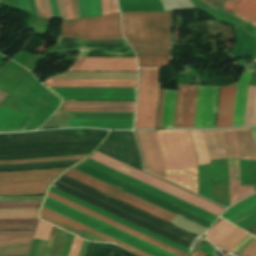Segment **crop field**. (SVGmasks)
I'll use <instances>...</instances> for the list:
<instances>
[{
	"label": "crop field",
	"mask_w": 256,
	"mask_h": 256,
	"mask_svg": "<svg viewBox=\"0 0 256 256\" xmlns=\"http://www.w3.org/2000/svg\"><path fill=\"white\" fill-rule=\"evenodd\" d=\"M83 156H70V157H58V158H45V159H32V160H20V161H0V164H21V163H35V162H48V161H61V160H75L82 159Z\"/></svg>",
	"instance_id": "35"
},
{
	"label": "crop field",
	"mask_w": 256,
	"mask_h": 256,
	"mask_svg": "<svg viewBox=\"0 0 256 256\" xmlns=\"http://www.w3.org/2000/svg\"><path fill=\"white\" fill-rule=\"evenodd\" d=\"M42 2H43L44 9H45L46 17L49 18V19H53L52 14H51L49 1L48 0H42Z\"/></svg>",
	"instance_id": "47"
},
{
	"label": "crop field",
	"mask_w": 256,
	"mask_h": 256,
	"mask_svg": "<svg viewBox=\"0 0 256 256\" xmlns=\"http://www.w3.org/2000/svg\"><path fill=\"white\" fill-rule=\"evenodd\" d=\"M35 2H36V6H37V10H38L39 16L45 17V13H44V10H43V6H42L41 0H35Z\"/></svg>",
	"instance_id": "52"
},
{
	"label": "crop field",
	"mask_w": 256,
	"mask_h": 256,
	"mask_svg": "<svg viewBox=\"0 0 256 256\" xmlns=\"http://www.w3.org/2000/svg\"><path fill=\"white\" fill-rule=\"evenodd\" d=\"M38 219H0V230H35Z\"/></svg>",
	"instance_id": "27"
},
{
	"label": "crop field",
	"mask_w": 256,
	"mask_h": 256,
	"mask_svg": "<svg viewBox=\"0 0 256 256\" xmlns=\"http://www.w3.org/2000/svg\"><path fill=\"white\" fill-rule=\"evenodd\" d=\"M14 4L22 8L20 0H14Z\"/></svg>",
	"instance_id": "58"
},
{
	"label": "crop field",
	"mask_w": 256,
	"mask_h": 256,
	"mask_svg": "<svg viewBox=\"0 0 256 256\" xmlns=\"http://www.w3.org/2000/svg\"><path fill=\"white\" fill-rule=\"evenodd\" d=\"M254 193L253 186H241V199Z\"/></svg>",
	"instance_id": "45"
},
{
	"label": "crop field",
	"mask_w": 256,
	"mask_h": 256,
	"mask_svg": "<svg viewBox=\"0 0 256 256\" xmlns=\"http://www.w3.org/2000/svg\"><path fill=\"white\" fill-rule=\"evenodd\" d=\"M236 228L237 227L233 226L232 224L222 219L212 229L208 231L207 239L208 241H210L211 243L217 246ZM247 235L248 233L237 228L217 247L228 252L232 247H234L239 241H241Z\"/></svg>",
	"instance_id": "18"
},
{
	"label": "crop field",
	"mask_w": 256,
	"mask_h": 256,
	"mask_svg": "<svg viewBox=\"0 0 256 256\" xmlns=\"http://www.w3.org/2000/svg\"><path fill=\"white\" fill-rule=\"evenodd\" d=\"M45 86L136 88L137 81L49 80Z\"/></svg>",
	"instance_id": "22"
},
{
	"label": "crop field",
	"mask_w": 256,
	"mask_h": 256,
	"mask_svg": "<svg viewBox=\"0 0 256 256\" xmlns=\"http://www.w3.org/2000/svg\"><path fill=\"white\" fill-rule=\"evenodd\" d=\"M57 111L134 112L135 102L62 101Z\"/></svg>",
	"instance_id": "17"
},
{
	"label": "crop field",
	"mask_w": 256,
	"mask_h": 256,
	"mask_svg": "<svg viewBox=\"0 0 256 256\" xmlns=\"http://www.w3.org/2000/svg\"><path fill=\"white\" fill-rule=\"evenodd\" d=\"M32 232H0V234H31ZM32 235H0V251H28ZM28 252H0V256H27Z\"/></svg>",
	"instance_id": "19"
},
{
	"label": "crop field",
	"mask_w": 256,
	"mask_h": 256,
	"mask_svg": "<svg viewBox=\"0 0 256 256\" xmlns=\"http://www.w3.org/2000/svg\"><path fill=\"white\" fill-rule=\"evenodd\" d=\"M140 146L145 158V170L155 174V168H154V158L152 154V150L150 147V143L148 140L147 132L146 131H140L136 132Z\"/></svg>",
	"instance_id": "29"
},
{
	"label": "crop field",
	"mask_w": 256,
	"mask_h": 256,
	"mask_svg": "<svg viewBox=\"0 0 256 256\" xmlns=\"http://www.w3.org/2000/svg\"><path fill=\"white\" fill-rule=\"evenodd\" d=\"M57 5L59 7L62 19L63 20L67 19L65 9H64V6H63V0H57Z\"/></svg>",
	"instance_id": "51"
},
{
	"label": "crop field",
	"mask_w": 256,
	"mask_h": 256,
	"mask_svg": "<svg viewBox=\"0 0 256 256\" xmlns=\"http://www.w3.org/2000/svg\"><path fill=\"white\" fill-rule=\"evenodd\" d=\"M32 115L1 105L0 131L24 130Z\"/></svg>",
	"instance_id": "21"
},
{
	"label": "crop field",
	"mask_w": 256,
	"mask_h": 256,
	"mask_svg": "<svg viewBox=\"0 0 256 256\" xmlns=\"http://www.w3.org/2000/svg\"><path fill=\"white\" fill-rule=\"evenodd\" d=\"M64 3H65V8H66V13H67L68 19L74 18L73 13H72V9H71V6H70V1L69 0H64Z\"/></svg>",
	"instance_id": "50"
},
{
	"label": "crop field",
	"mask_w": 256,
	"mask_h": 256,
	"mask_svg": "<svg viewBox=\"0 0 256 256\" xmlns=\"http://www.w3.org/2000/svg\"><path fill=\"white\" fill-rule=\"evenodd\" d=\"M198 86L178 85L176 91L166 90L162 128H194ZM218 87H200L195 128H214Z\"/></svg>",
	"instance_id": "3"
},
{
	"label": "crop field",
	"mask_w": 256,
	"mask_h": 256,
	"mask_svg": "<svg viewBox=\"0 0 256 256\" xmlns=\"http://www.w3.org/2000/svg\"><path fill=\"white\" fill-rule=\"evenodd\" d=\"M77 70L137 71L136 57L87 56Z\"/></svg>",
	"instance_id": "16"
},
{
	"label": "crop field",
	"mask_w": 256,
	"mask_h": 256,
	"mask_svg": "<svg viewBox=\"0 0 256 256\" xmlns=\"http://www.w3.org/2000/svg\"><path fill=\"white\" fill-rule=\"evenodd\" d=\"M134 113L69 112L68 127L132 129Z\"/></svg>",
	"instance_id": "12"
},
{
	"label": "crop field",
	"mask_w": 256,
	"mask_h": 256,
	"mask_svg": "<svg viewBox=\"0 0 256 256\" xmlns=\"http://www.w3.org/2000/svg\"><path fill=\"white\" fill-rule=\"evenodd\" d=\"M171 12L123 13L125 39L134 48L139 67L167 66Z\"/></svg>",
	"instance_id": "1"
},
{
	"label": "crop field",
	"mask_w": 256,
	"mask_h": 256,
	"mask_svg": "<svg viewBox=\"0 0 256 256\" xmlns=\"http://www.w3.org/2000/svg\"><path fill=\"white\" fill-rule=\"evenodd\" d=\"M87 17L101 16L100 0H86Z\"/></svg>",
	"instance_id": "36"
},
{
	"label": "crop field",
	"mask_w": 256,
	"mask_h": 256,
	"mask_svg": "<svg viewBox=\"0 0 256 256\" xmlns=\"http://www.w3.org/2000/svg\"><path fill=\"white\" fill-rule=\"evenodd\" d=\"M64 175L73 178L81 183H84L90 187H93L99 191H102L110 196H113L119 200H122L130 205H133L139 209H142L148 213H151L159 218H162L168 222H170L175 215L162 210L152 204H149L139 198H136L126 192H123L113 186H110L100 180H97L87 174H84L74 168L70 169L68 172H66Z\"/></svg>",
	"instance_id": "11"
},
{
	"label": "crop field",
	"mask_w": 256,
	"mask_h": 256,
	"mask_svg": "<svg viewBox=\"0 0 256 256\" xmlns=\"http://www.w3.org/2000/svg\"><path fill=\"white\" fill-rule=\"evenodd\" d=\"M165 90L160 89L156 128H161Z\"/></svg>",
	"instance_id": "39"
},
{
	"label": "crop field",
	"mask_w": 256,
	"mask_h": 256,
	"mask_svg": "<svg viewBox=\"0 0 256 256\" xmlns=\"http://www.w3.org/2000/svg\"><path fill=\"white\" fill-rule=\"evenodd\" d=\"M40 218L51 222L57 226H60L66 230H69L75 234H78L82 237H85L91 241H98V242H108V243H114L118 246H121L127 250H130L134 253H137L141 256H150L148 254H145L137 249H134L128 245H125L117 240H114L106 235H103L95 230H92L86 226H83L75 221H72L64 216H61L55 212H52L44 207L41 209Z\"/></svg>",
	"instance_id": "15"
},
{
	"label": "crop field",
	"mask_w": 256,
	"mask_h": 256,
	"mask_svg": "<svg viewBox=\"0 0 256 256\" xmlns=\"http://www.w3.org/2000/svg\"><path fill=\"white\" fill-rule=\"evenodd\" d=\"M212 8L217 9L221 5H223L227 0H201Z\"/></svg>",
	"instance_id": "44"
},
{
	"label": "crop field",
	"mask_w": 256,
	"mask_h": 256,
	"mask_svg": "<svg viewBox=\"0 0 256 256\" xmlns=\"http://www.w3.org/2000/svg\"><path fill=\"white\" fill-rule=\"evenodd\" d=\"M250 129H251L252 136H253V139H254V142H255V146H256V128H250Z\"/></svg>",
	"instance_id": "56"
},
{
	"label": "crop field",
	"mask_w": 256,
	"mask_h": 256,
	"mask_svg": "<svg viewBox=\"0 0 256 256\" xmlns=\"http://www.w3.org/2000/svg\"><path fill=\"white\" fill-rule=\"evenodd\" d=\"M230 205L240 200L238 160L228 159Z\"/></svg>",
	"instance_id": "26"
},
{
	"label": "crop field",
	"mask_w": 256,
	"mask_h": 256,
	"mask_svg": "<svg viewBox=\"0 0 256 256\" xmlns=\"http://www.w3.org/2000/svg\"><path fill=\"white\" fill-rule=\"evenodd\" d=\"M61 99L135 100L136 89L47 87Z\"/></svg>",
	"instance_id": "14"
},
{
	"label": "crop field",
	"mask_w": 256,
	"mask_h": 256,
	"mask_svg": "<svg viewBox=\"0 0 256 256\" xmlns=\"http://www.w3.org/2000/svg\"><path fill=\"white\" fill-rule=\"evenodd\" d=\"M28 2H29L30 13L33 14V15H37L34 0H28Z\"/></svg>",
	"instance_id": "54"
},
{
	"label": "crop field",
	"mask_w": 256,
	"mask_h": 256,
	"mask_svg": "<svg viewBox=\"0 0 256 256\" xmlns=\"http://www.w3.org/2000/svg\"><path fill=\"white\" fill-rule=\"evenodd\" d=\"M256 123V86H249L244 126Z\"/></svg>",
	"instance_id": "30"
},
{
	"label": "crop field",
	"mask_w": 256,
	"mask_h": 256,
	"mask_svg": "<svg viewBox=\"0 0 256 256\" xmlns=\"http://www.w3.org/2000/svg\"><path fill=\"white\" fill-rule=\"evenodd\" d=\"M255 212H256V205L252 206L251 208L247 209L246 211L240 213L239 215L235 216L234 218H232L228 221L235 224Z\"/></svg>",
	"instance_id": "40"
},
{
	"label": "crop field",
	"mask_w": 256,
	"mask_h": 256,
	"mask_svg": "<svg viewBox=\"0 0 256 256\" xmlns=\"http://www.w3.org/2000/svg\"><path fill=\"white\" fill-rule=\"evenodd\" d=\"M111 13L119 12L116 0H110Z\"/></svg>",
	"instance_id": "53"
},
{
	"label": "crop field",
	"mask_w": 256,
	"mask_h": 256,
	"mask_svg": "<svg viewBox=\"0 0 256 256\" xmlns=\"http://www.w3.org/2000/svg\"><path fill=\"white\" fill-rule=\"evenodd\" d=\"M159 69H141L135 129L154 128Z\"/></svg>",
	"instance_id": "10"
},
{
	"label": "crop field",
	"mask_w": 256,
	"mask_h": 256,
	"mask_svg": "<svg viewBox=\"0 0 256 256\" xmlns=\"http://www.w3.org/2000/svg\"><path fill=\"white\" fill-rule=\"evenodd\" d=\"M190 256H207V254L195 249L194 252Z\"/></svg>",
	"instance_id": "55"
},
{
	"label": "crop field",
	"mask_w": 256,
	"mask_h": 256,
	"mask_svg": "<svg viewBox=\"0 0 256 256\" xmlns=\"http://www.w3.org/2000/svg\"><path fill=\"white\" fill-rule=\"evenodd\" d=\"M156 132L165 158L166 179L198 194L196 157L188 131Z\"/></svg>",
	"instance_id": "5"
},
{
	"label": "crop field",
	"mask_w": 256,
	"mask_h": 256,
	"mask_svg": "<svg viewBox=\"0 0 256 256\" xmlns=\"http://www.w3.org/2000/svg\"><path fill=\"white\" fill-rule=\"evenodd\" d=\"M40 202H0V208H38Z\"/></svg>",
	"instance_id": "37"
},
{
	"label": "crop field",
	"mask_w": 256,
	"mask_h": 256,
	"mask_svg": "<svg viewBox=\"0 0 256 256\" xmlns=\"http://www.w3.org/2000/svg\"><path fill=\"white\" fill-rule=\"evenodd\" d=\"M98 151L142 171L139 152L131 132H112Z\"/></svg>",
	"instance_id": "13"
},
{
	"label": "crop field",
	"mask_w": 256,
	"mask_h": 256,
	"mask_svg": "<svg viewBox=\"0 0 256 256\" xmlns=\"http://www.w3.org/2000/svg\"><path fill=\"white\" fill-rule=\"evenodd\" d=\"M101 4H102V16L109 14L110 13L109 0H101Z\"/></svg>",
	"instance_id": "48"
},
{
	"label": "crop field",
	"mask_w": 256,
	"mask_h": 256,
	"mask_svg": "<svg viewBox=\"0 0 256 256\" xmlns=\"http://www.w3.org/2000/svg\"><path fill=\"white\" fill-rule=\"evenodd\" d=\"M222 10L256 26V0H229Z\"/></svg>",
	"instance_id": "24"
},
{
	"label": "crop field",
	"mask_w": 256,
	"mask_h": 256,
	"mask_svg": "<svg viewBox=\"0 0 256 256\" xmlns=\"http://www.w3.org/2000/svg\"><path fill=\"white\" fill-rule=\"evenodd\" d=\"M89 49L83 48L80 55L78 56L77 60L72 64L70 70H74L77 69L78 66L81 64V62L85 59L87 53H88Z\"/></svg>",
	"instance_id": "43"
},
{
	"label": "crop field",
	"mask_w": 256,
	"mask_h": 256,
	"mask_svg": "<svg viewBox=\"0 0 256 256\" xmlns=\"http://www.w3.org/2000/svg\"><path fill=\"white\" fill-rule=\"evenodd\" d=\"M90 158L98 162H101L109 167H112L120 172H123L131 177H134L142 182H145L151 186H154L162 191H165L173 196H176L184 201H187L195 206H198L206 211H209L217 216H219L224 211V209L220 207L205 202L206 200L203 201L204 199L201 200L161 180H158L144 172H141L133 167H130L122 162H119L109 156H106L98 151H96Z\"/></svg>",
	"instance_id": "9"
},
{
	"label": "crop field",
	"mask_w": 256,
	"mask_h": 256,
	"mask_svg": "<svg viewBox=\"0 0 256 256\" xmlns=\"http://www.w3.org/2000/svg\"><path fill=\"white\" fill-rule=\"evenodd\" d=\"M64 169L0 172V195L43 193L47 185Z\"/></svg>",
	"instance_id": "8"
},
{
	"label": "crop field",
	"mask_w": 256,
	"mask_h": 256,
	"mask_svg": "<svg viewBox=\"0 0 256 256\" xmlns=\"http://www.w3.org/2000/svg\"><path fill=\"white\" fill-rule=\"evenodd\" d=\"M78 1H79V15L80 17H86L85 0H78Z\"/></svg>",
	"instance_id": "49"
},
{
	"label": "crop field",
	"mask_w": 256,
	"mask_h": 256,
	"mask_svg": "<svg viewBox=\"0 0 256 256\" xmlns=\"http://www.w3.org/2000/svg\"><path fill=\"white\" fill-rule=\"evenodd\" d=\"M190 131L198 157V165L210 163L202 132L194 130Z\"/></svg>",
	"instance_id": "31"
},
{
	"label": "crop field",
	"mask_w": 256,
	"mask_h": 256,
	"mask_svg": "<svg viewBox=\"0 0 256 256\" xmlns=\"http://www.w3.org/2000/svg\"><path fill=\"white\" fill-rule=\"evenodd\" d=\"M61 35L89 40L123 38L120 29V14L115 13L98 18L63 21Z\"/></svg>",
	"instance_id": "7"
},
{
	"label": "crop field",
	"mask_w": 256,
	"mask_h": 256,
	"mask_svg": "<svg viewBox=\"0 0 256 256\" xmlns=\"http://www.w3.org/2000/svg\"><path fill=\"white\" fill-rule=\"evenodd\" d=\"M236 84L221 87L216 128L231 127Z\"/></svg>",
	"instance_id": "20"
},
{
	"label": "crop field",
	"mask_w": 256,
	"mask_h": 256,
	"mask_svg": "<svg viewBox=\"0 0 256 256\" xmlns=\"http://www.w3.org/2000/svg\"><path fill=\"white\" fill-rule=\"evenodd\" d=\"M74 168L159 206L206 229L217 216L153 188L90 158Z\"/></svg>",
	"instance_id": "2"
},
{
	"label": "crop field",
	"mask_w": 256,
	"mask_h": 256,
	"mask_svg": "<svg viewBox=\"0 0 256 256\" xmlns=\"http://www.w3.org/2000/svg\"><path fill=\"white\" fill-rule=\"evenodd\" d=\"M155 158L156 175L165 179L164 158L155 131H147Z\"/></svg>",
	"instance_id": "28"
},
{
	"label": "crop field",
	"mask_w": 256,
	"mask_h": 256,
	"mask_svg": "<svg viewBox=\"0 0 256 256\" xmlns=\"http://www.w3.org/2000/svg\"><path fill=\"white\" fill-rule=\"evenodd\" d=\"M254 238L255 237H253L252 235L249 234L239 244H237L231 251L238 253L241 249H243ZM255 252H256V238L252 242H250L239 253L242 254V256H254Z\"/></svg>",
	"instance_id": "33"
},
{
	"label": "crop field",
	"mask_w": 256,
	"mask_h": 256,
	"mask_svg": "<svg viewBox=\"0 0 256 256\" xmlns=\"http://www.w3.org/2000/svg\"><path fill=\"white\" fill-rule=\"evenodd\" d=\"M210 160L256 157L250 129L203 131Z\"/></svg>",
	"instance_id": "6"
},
{
	"label": "crop field",
	"mask_w": 256,
	"mask_h": 256,
	"mask_svg": "<svg viewBox=\"0 0 256 256\" xmlns=\"http://www.w3.org/2000/svg\"><path fill=\"white\" fill-rule=\"evenodd\" d=\"M42 197H0V201H40Z\"/></svg>",
	"instance_id": "42"
},
{
	"label": "crop field",
	"mask_w": 256,
	"mask_h": 256,
	"mask_svg": "<svg viewBox=\"0 0 256 256\" xmlns=\"http://www.w3.org/2000/svg\"><path fill=\"white\" fill-rule=\"evenodd\" d=\"M0 218H38V209H0Z\"/></svg>",
	"instance_id": "32"
},
{
	"label": "crop field",
	"mask_w": 256,
	"mask_h": 256,
	"mask_svg": "<svg viewBox=\"0 0 256 256\" xmlns=\"http://www.w3.org/2000/svg\"><path fill=\"white\" fill-rule=\"evenodd\" d=\"M52 14L54 19L62 20L56 6V0H50Z\"/></svg>",
	"instance_id": "46"
},
{
	"label": "crop field",
	"mask_w": 256,
	"mask_h": 256,
	"mask_svg": "<svg viewBox=\"0 0 256 256\" xmlns=\"http://www.w3.org/2000/svg\"><path fill=\"white\" fill-rule=\"evenodd\" d=\"M121 12L164 11L160 0H118Z\"/></svg>",
	"instance_id": "25"
},
{
	"label": "crop field",
	"mask_w": 256,
	"mask_h": 256,
	"mask_svg": "<svg viewBox=\"0 0 256 256\" xmlns=\"http://www.w3.org/2000/svg\"><path fill=\"white\" fill-rule=\"evenodd\" d=\"M22 1V6L24 9H28V4H27V0H21ZM29 10V9H28Z\"/></svg>",
	"instance_id": "57"
},
{
	"label": "crop field",
	"mask_w": 256,
	"mask_h": 256,
	"mask_svg": "<svg viewBox=\"0 0 256 256\" xmlns=\"http://www.w3.org/2000/svg\"><path fill=\"white\" fill-rule=\"evenodd\" d=\"M246 200V199H245ZM256 204V194L247 199L246 201L238 204L237 206L231 208L229 211L221 215L222 218L228 220L233 216L239 214L240 212L244 211L245 209L251 207L252 205Z\"/></svg>",
	"instance_id": "34"
},
{
	"label": "crop field",
	"mask_w": 256,
	"mask_h": 256,
	"mask_svg": "<svg viewBox=\"0 0 256 256\" xmlns=\"http://www.w3.org/2000/svg\"><path fill=\"white\" fill-rule=\"evenodd\" d=\"M252 71H246L237 82L232 127L243 126L248 84Z\"/></svg>",
	"instance_id": "23"
},
{
	"label": "crop field",
	"mask_w": 256,
	"mask_h": 256,
	"mask_svg": "<svg viewBox=\"0 0 256 256\" xmlns=\"http://www.w3.org/2000/svg\"><path fill=\"white\" fill-rule=\"evenodd\" d=\"M6 95V93H3V92H1L0 91V103H1V101H2V99H3V97Z\"/></svg>",
	"instance_id": "59"
},
{
	"label": "crop field",
	"mask_w": 256,
	"mask_h": 256,
	"mask_svg": "<svg viewBox=\"0 0 256 256\" xmlns=\"http://www.w3.org/2000/svg\"><path fill=\"white\" fill-rule=\"evenodd\" d=\"M60 177H61V176H60ZM60 177H59V178H60ZM59 178H58V179H59ZM58 179H57L56 181H58ZM191 245H192V244H191ZM190 249H191V247H190Z\"/></svg>",
	"instance_id": "60"
},
{
	"label": "crop field",
	"mask_w": 256,
	"mask_h": 256,
	"mask_svg": "<svg viewBox=\"0 0 256 256\" xmlns=\"http://www.w3.org/2000/svg\"><path fill=\"white\" fill-rule=\"evenodd\" d=\"M46 195L51 197V198H53V199H55V200H58V201H60V202H62L64 204H66V205H69V206H71V207H73V208H75L77 210H80V211H82V212H84L86 214H89V215H91V216H93V217H95L97 219H100V220H102V221H104V222H106L108 224H111V225H113V226H115V227H117L119 229H122V230H124V231H126V232H128L130 234H133V235H135V236H137V237H139L141 239H144V240H146V241H148L150 243H153V244H155V245H157V246H159L161 248H164V249H166V250H168V251H170L172 253H175V254H177L179 256H187V254H185V253H183V252H181L179 250H176V249H174V248H172V247H170L168 245H165V244H163V243H161V242H159L157 240H154V239H152V238H150V237H148L146 235H143V234H141V233H139V232H137L135 230H132V229H130V228L124 226V225H121V224H119V223H117L115 221H112V220H110V219H108V218H106L104 216H101V215H99V214H97V213H95L93 211H90V210H88V209H86V208H84L82 206H79V205H77V204H75V203H73L71 201H68V200H66V199H64V198H62L60 196H57V195H55V194H53V193H51L49 191L47 192ZM47 196L45 197V200H44L43 203L48 205V206H50V207H52V208H55V209H57V210H59V211H61L63 213H66V214H68V215H70V216H72L74 218H77V219H79V220H81V221H83V222H85L87 224H90V225H92V226H94V227H96L98 229H101V230H103V231H105V232H107L109 234H112V235H114V236H116V237H118L120 239H123V240H125V241H127V242H129L131 244H134V245H136V246H138V247H140L142 249H145V250H147V251H149V252H151V253H153L155 255H158V256H177V255L172 254V253H170V252H168V251H166L164 249H161V248H159V247H157V246H155L153 244H150V243H148V242H146L144 240H141V239H139V238H137V237H135L133 235H130V234H128V233H126V232H124L122 230H119V229H117V228H115V227H113L111 225H108V224H106V223H104V222H102L100 220H97V219H95V218H93V217H91L89 215H86V214H84V213H82L80 211H77V210L69 207V206H66V205H64V204H62V203H60L58 201H55V200H53V199H51V198H49ZM44 204H43L44 207H46V208H48V209H50L52 211H55V212H57V213H59L61 215H64V216H66V217H68V218H70L72 220H75V221H77V222H79V223H81L83 225H86V226H88V227H90L92 229H95V230H97V231H99V232H101L103 234H106V235H108V236H110V237H112L114 239H117V240H119V241H121V242H123L125 244H128V245H130V246H132L134 248H137V249H139V250H141V251H143L145 253H148V254H150L152 256H155V255H153V254H151V253H149L147 251H144V250H142V249H140V248H138V247H136L134 245H131V244H129V243L123 241V240H120V239H118V238H116V237H114L112 235H109V234H107V233H105V232H103L101 230H98V229H96V228H94V227H92L90 225H87V224H85V223H83V222H81L79 220H76V219H74V218H72V217H70V216H68L66 214H63V213H61V212H59V211H57L55 209H52V208H50V207H48V206H46Z\"/></svg>",
	"instance_id": "4"
},
{
	"label": "crop field",
	"mask_w": 256,
	"mask_h": 256,
	"mask_svg": "<svg viewBox=\"0 0 256 256\" xmlns=\"http://www.w3.org/2000/svg\"><path fill=\"white\" fill-rule=\"evenodd\" d=\"M51 227H52L51 225L39 220L38 227H37L34 238L42 239V240L47 241L48 237H49Z\"/></svg>",
	"instance_id": "38"
},
{
	"label": "crop field",
	"mask_w": 256,
	"mask_h": 256,
	"mask_svg": "<svg viewBox=\"0 0 256 256\" xmlns=\"http://www.w3.org/2000/svg\"><path fill=\"white\" fill-rule=\"evenodd\" d=\"M82 239L78 238V237H74L70 252L68 256H78L80 248H81V244H82Z\"/></svg>",
	"instance_id": "41"
}]
</instances>
